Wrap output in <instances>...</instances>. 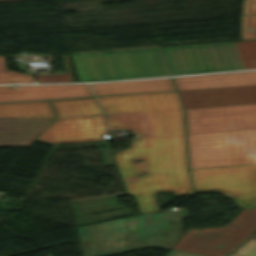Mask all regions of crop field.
<instances>
[{"label": "crop field", "mask_w": 256, "mask_h": 256, "mask_svg": "<svg viewBox=\"0 0 256 256\" xmlns=\"http://www.w3.org/2000/svg\"><path fill=\"white\" fill-rule=\"evenodd\" d=\"M109 122L113 114L145 111L149 137L114 154L126 188L141 213L157 211L153 193L191 194L186 169L182 107L175 92L98 98ZM144 159L141 163L133 160ZM148 172L136 178L134 172Z\"/></svg>", "instance_id": "obj_1"}, {"label": "crop field", "mask_w": 256, "mask_h": 256, "mask_svg": "<svg viewBox=\"0 0 256 256\" xmlns=\"http://www.w3.org/2000/svg\"><path fill=\"white\" fill-rule=\"evenodd\" d=\"M190 169L256 164V104L186 109Z\"/></svg>", "instance_id": "obj_2"}, {"label": "crop field", "mask_w": 256, "mask_h": 256, "mask_svg": "<svg viewBox=\"0 0 256 256\" xmlns=\"http://www.w3.org/2000/svg\"><path fill=\"white\" fill-rule=\"evenodd\" d=\"M185 208L133 216L79 227L84 256H104L159 245L171 249L182 236L181 218H189ZM172 221V225L168 222ZM170 233V237H162Z\"/></svg>", "instance_id": "obj_3"}, {"label": "crop field", "mask_w": 256, "mask_h": 256, "mask_svg": "<svg viewBox=\"0 0 256 256\" xmlns=\"http://www.w3.org/2000/svg\"><path fill=\"white\" fill-rule=\"evenodd\" d=\"M82 81L169 75L160 47L71 55Z\"/></svg>", "instance_id": "obj_4"}, {"label": "crop field", "mask_w": 256, "mask_h": 256, "mask_svg": "<svg viewBox=\"0 0 256 256\" xmlns=\"http://www.w3.org/2000/svg\"><path fill=\"white\" fill-rule=\"evenodd\" d=\"M50 102L58 119L38 139L54 143L104 139V115L94 98Z\"/></svg>", "instance_id": "obj_5"}, {"label": "crop field", "mask_w": 256, "mask_h": 256, "mask_svg": "<svg viewBox=\"0 0 256 256\" xmlns=\"http://www.w3.org/2000/svg\"><path fill=\"white\" fill-rule=\"evenodd\" d=\"M256 228V207L242 209L236 218L220 228L189 229L172 249L205 255L226 256Z\"/></svg>", "instance_id": "obj_6"}, {"label": "crop field", "mask_w": 256, "mask_h": 256, "mask_svg": "<svg viewBox=\"0 0 256 256\" xmlns=\"http://www.w3.org/2000/svg\"><path fill=\"white\" fill-rule=\"evenodd\" d=\"M163 49L172 75L244 69L234 42Z\"/></svg>", "instance_id": "obj_7"}, {"label": "crop field", "mask_w": 256, "mask_h": 256, "mask_svg": "<svg viewBox=\"0 0 256 256\" xmlns=\"http://www.w3.org/2000/svg\"><path fill=\"white\" fill-rule=\"evenodd\" d=\"M194 192L218 191L241 207L256 204V165L190 170Z\"/></svg>", "instance_id": "obj_8"}, {"label": "crop field", "mask_w": 256, "mask_h": 256, "mask_svg": "<svg viewBox=\"0 0 256 256\" xmlns=\"http://www.w3.org/2000/svg\"><path fill=\"white\" fill-rule=\"evenodd\" d=\"M178 92L185 108L256 103V85Z\"/></svg>", "instance_id": "obj_9"}, {"label": "crop field", "mask_w": 256, "mask_h": 256, "mask_svg": "<svg viewBox=\"0 0 256 256\" xmlns=\"http://www.w3.org/2000/svg\"><path fill=\"white\" fill-rule=\"evenodd\" d=\"M92 96L86 84L0 86V103Z\"/></svg>", "instance_id": "obj_10"}, {"label": "crop field", "mask_w": 256, "mask_h": 256, "mask_svg": "<svg viewBox=\"0 0 256 256\" xmlns=\"http://www.w3.org/2000/svg\"><path fill=\"white\" fill-rule=\"evenodd\" d=\"M53 119H0V147L27 146Z\"/></svg>", "instance_id": "obj_11"}, {"label": "crop field", "mask_w": 256, "mask_h": 256, "mask_svg": "<svg viewBox=\"0 0 256 256\" xmlns=\"http://www.w3.org/2000/svg\"><path fill=\"white\" fill-rule=\"evenodd\" d=\"M178 90L256 84V71L175 78Z\"/></svg>", "instance_id": "obj_12"}, {"label": "crop field", "mask_w": 256, "mask_h": 256, "mask_svg": "<svg viewBox=\"0 0 256 256\" xmlns=\"http://www.w3.org/2000/svg\"><path fill=\"white\" fill-rule=\"evenodd\" d=\"M96 96L175 90L170 78L90 84Z\"/></svg>", "instance_id": "obj_13"}, {"label": "crop field", "mask_w": 256, "mask_h": 256, "mask_svg": "<svg viewBox=\"0 0 256 256\" xmlns=\"http://www.w3.org/2000/svg\"><path fill=\"white\" fill-rule=\"evenodd\" d=\"M49 101L0 105V118L55 117Z\"/></svg>", "instance_id": "obj_14"}, {"label": "crop field", "mask_w": 256, "mask_h": 256, "mask_svg": "<svg viewBox=\"0 0 256 256\" xmlns=\"http://www.w3.org/2000/svg\"><path fill=\"white\" fill-rule=\"evenodd\" d=\"M116 123H109L110 130L127 129L137 132V137L148 136L144 112L114 115Z\"/></svg>", "instance_id": "obj_15"}, {"label": "crop field", "mask_w": 256, "mask_h": 256, "mask_svg": "<svg viewBox=\"0 0 256 256\" xmlns=\"http://www.w3.org/2000/svg\"><path fill=\"white\" fill-rule=\"evenodd\" d=\"M248 27L252 28L251 33L247 32ZM241 38L256 39V0H244Z\"/></svg>", "instance_id": "obj_16"}, {"label": "crop field", "mask_w": 256, "mask_h": 256, "mask_svg": "<svg viewBox=\"0 0 256 256\" xmlns=\"http://www.w3.org/2000/svg\"><path fill=\"white\" fill-rule=\"evenodd\" d=\"M245 69L256 68V41L235 42Z\"/></svg>", "instance_id": "obj_17"}, {"label": "crop field", "mask_w": 256, "mask_h": 256, "mask_svg": "<svg viewBox=\"0 0 256 256\" xmlns=\"http://www.w3.org/2000/svg\"><path fill=\"white\" fill-rule=\"evenodd\" d=\"M33 82L34 79L32 76L5 70L3 56H0V84Z\"/></svg>", "instance_id": "obj_18"}, {"label": "crop field", "mask_w": 256, "mask_h": 256, "mask_svg": "<svg viewBox=\"0 0 256 256\" xmlns=\"http://www.w3.org/2000/svg\"><path fill=\"white\" fill-rule=\"evenodd\" d=\"M65 58L68 74H52L47 76H40L37 77L38 83L72 82L67 55H65Z\"/></svg>", "instance_id": "obj_19"}, {"label": "crop field", "mask_w": 256, "mask_h": 256, "mask_svg": "<svg viewBox=\"0 0 256 256\" xmlns=\"http://www.w3.org/2000/svg\"><path fill=\"white\" fill-rule=\"evenodd\" d=\"M235 253L241 256H256V240L250 238Z\"/></svg>", "instance_id": "obj_20"}, {"label": "crop field", "mask_w": 256, "mask_h": 256, "mask_svg": "<svg viewBox=\"0 0 256 256\" xmlns=\"http://www.w3.org/2000/svg\"><path fill=\"white\" fill-rule=\"evenodd\" d=\"M167 256H200V255L171 250Z\"/></svg>", "instance_id": "obj_21"}, {"label": "crop field", "mask_w": 256, "mask_h": 256, "mask_svg": "<svg viewBox=\"0 0 256 256\" xmlns=\"http://www.w3.org/2000/svg\"><path fill=\"white\" fill-rule=\"evenodd\" d=\"M252 238L256 239V233L253 235V237H252Z\"/></svg>", "instance_id": "obj_22"}, {"label": "crop field", "mask_w": 256, "mask_h": 256, "mask_svg": "<svg viewBox=\"0 0 256 256\" xmlns=\"http://www.w3.org/2000/svg\"><path fill=\"white\" fill-rule=\"evenodd\" d=\"M230 256H239V255H233V254H231Z\"/></svg>", "instance_id": "obj_23"}]
</instances>
